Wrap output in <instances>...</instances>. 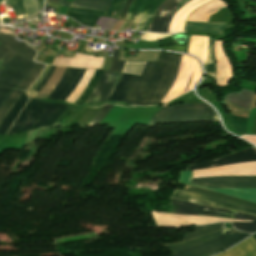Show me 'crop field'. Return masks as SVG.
<instances>
[{
  "label": "crop field",
  "instance_id": "crop-field-31",
  "mask_svg": "<svg viewBox=\"0 0 256 256\" xmlns=\"http://www.w3.org/2000/svg\"><path fill=\"white\" fill-rule=\"evenodd\" d=\"M119 50L113 51V60L109 70L121 72L125 62L117 61Z\"/></svg>",
  "mask_w": 256,
  "mask_h": 256
},
{
  "label": "crop field",
  "instance_id": "crop-field-29",
  "mask_svg": "<svg viewBox=\"0 0 256 256\" xmlns=\"http://www.w3.org/2000/svg\"><path fill=\"white\" fill-rule=\"evenodd\" d=\"M190 0H182L180 1L175 7H173L171 9V11L168 13L165 21H164V24H163V27H162V31L161 32H167L168 31V28H169V25H170V22H171V19H172V16L173 14L178 11L185 3L189 2ZM175 15V14H174Z\"/></svg>",
  "mask_w": 256,
  "mask_h": 256
},
{
  "label": "crop field",
  "instance_id": "crop-field-37",
  "mask_svg": "<svg viewBox=\"0 0 256 256\" xmlns=\"http://www.w3.org/2000/svg\"><path fill=\"white\" fill-rule=\"evenodd\" d=\"M55 66H51L50 70L48 71V73L46 74L45 78L40 82V84L36 87V91H39L40 88L45 84V82L47 81V79L50 77V75L52 74L53 70H54ZM49 80V79H48Z\"/></svg>",
  "mask_w": 256,
  "mask_h": 256
},
{
  "label": "crop field",
  "instance_id": "crop-field-10",
  "mask_svg": "<svg viewBox=\"0 0 256 256\" xmlns=\"http://www.w3.org/2000/svg\"><path fill=\"white\" fill-rule=\"evenodd\" d=\"M85 69L67 67L61 81L49 96L50 100H65L80 81Z\"/></svg>",
  "mask_w": 256,
  "mask_h": 256
},
{
  "label": "crop field",
  "instance_id": "crop-field-38",
  "mask_svg": "<svg viewBox=\"0 0 256 256\" xmlns=\"http://www.w3.org/2000/svg\"><path fill=\"white\" fill-rule=\"evenodd\" d=\"M69 9L76 10V11H82V12L93 13V14H98V15H103V16H105V14H106V12L95 11V10H87V9L72 8V7H69Z\"/></svg>",
  "mask_w": 256,
  "mask_h": 256
},
{
  "label": "crop field",
  "instance_id": "crop-field-30",
  "mask_svg": "<svg viewBox=\"0 0 256 256\" xmlns=\"http://www.w3.org/2000/svg\"><path fill=\"white\" fill-rule=\"evenodd\" d=\"M171 1H173V0H166L164 3H162V4L158 7V9L156 10V12H155V14H154V16H153V18H152V21H151L150 26H149V28H148L147 31L155 32L156 24H157V22H158V19H159V17H160L161 12L164 10V8H165Z\"/></svg>",
  "mask_w": 256,
  "mask_h": 256
},
{
  "label": "crop field",
  "instance_id": "crop-field-12",
  "mask_svg": "<svg viewBox=\"0 0 256 256\" xmlns=\"http://www.w3.org/2000/svg\"><path fill=\"white\" fill-rule=\"evenodd\" d=\"M45 65L36 63L30 74L27 76V78L13 91H11L8 99L5 101V103L0 108V123L4 116L7 114V112L10 110V108L13 106V104L16 102L18 97L26 91L32 83L37 79L40 72L44 68Z\"/></svg>",
  "mask_w": 256,
  "mask_h": 256
},
{
  "label": "crop field",
  "instance_id": "crop-field-13",
  "mask_svg": "<svg viewBox=\"0 0 256 256\" xmlns=\"http://www.w3.org/2000/svg\"><path fill=\"white\" fill-rule=\"evenodd\" d=\"M256 161V148L253 147L251 149L238 152L235 154H232L227 157H223L220 159L212 160L209 162L197 164L191 167H188L187 170H195V169H201V168H209V167H217V166H224L232 163H241V162H251Z\"/></svg>",
  "mask_w": 256,
  "mask_h": 256
},
{
  "label": "crop field",
  "instance_id": "crop-field-36",
  "mask_svg": "<svg viewBox=\"0 0 256 256\" xmlns=\"http://www.w3.org/2000/svg\"><path fill=\"white\" fill-rule=\"evenodd\" d=\"M73 109L67 108L65 112L57 119V121L53 125H61L64 120L73 112Z\"/></svg>",
  "mask_w": 256,
  "mask_h": 256
},
{
  "label": "crop field",
  "instance_id": "crop-field-9",
  "mask_svg": "<svg viewBox=\"0 0 256 256\" xmlns=\"http://www.w3.org/2000/svg\"><path fill=\"white\" fill-rule=\"evenodd\" d=\"M164 0H135L124 19L140 23L136 30H147L155 9Z\"/></svg>",
  "mask_w": 256,
  "mask_h": 256
},
{
  "label": "crop field",
  "instance_id": "crop-field-34",
  "mask_svg": "<svg viewBox=\"0 0 256 256\" xmlns=\"http://www.w3.org/2000/svg\"><path fill=\"white\" fill-rule=\"evenodd\" d=\"M112 106L110 105H105L104 108L99 112V114L91 121V123L89 125H93L96 124L98 122H100L104 116L107 114V112L110 110Z\"/></svg>",
  "mask_w": 256,
  "mask_h": 256
},
{
  "label": "crop field",
  "instance_id": "crop-field-14",
  "mask_svg": "<svg viewBox=\"0 0 256 256\" xmlns=\"http://www.w3.org/2000/svg\"><path fill=\"white\" fill-rule=\"evenodd\" d=\"M216 256H256V242L252 236L239 245Z\"/></svg>",
  "mask_w": 256,
  "mask_h": 256
},
{
  "label": "crop field",
  "instance_id": "crop-field-27",
  "mask_svg": "<svg viewBox=\"0 0 256 256\" xmlns=\"http://www.w3.org/2000/svg\"><path fill=\"white\" fill-rule=\"evenodd\" d=\"M146 62H126L122 72L140 75Z\"/></svg>",
  "mask_w": 256,
  "mask_h": 256
},
{
  "label": "crop field",
  "instance_id": "crop-field-5",
  "mask_svg": "<svg viewBox=\"0 0 256 256\" xmlns=\"http://www.w3.org/2000/svg\"><path fill=\"white\" fill-rule=\"evenodd\" d=\"M170 204L174 206L171 213L174 214H190V215H204L215 216L223 218H235L252 220V222H231L233 226L239 230L253 232L256 230V217L239 213L232 210H223L203 205L182 202L171 199Z\"/></svg>",
  "mask_w": 256,
  "mask_h": 256
},
{
  "label": "crop field",
  "instance_id": "crop-field-24",
  "mask_svg": "<svg viewBox=\"0 0 256 256\" xmlns=\"http://www.w3.org/2000/svg\"><path fill=\"white\" fill-rule=\"evenodd\" d=\"M223 223L213 224V225H203V226H196V231L189 233L184 236L182 241H185L187 239L206 234L212 231L220 230Z\"/></svg>",
  "mask_w": 256,
  "mask_h": 256
},
{
  "label": "crop field",
  "instance_id": "crop-field-11",
  "mask_svg": "<svg viewBox=\"0 0 256 256\" xmlns=\"http://www.w3.org/2000/svg\"><path fill=\"white\" fill-rule=\"evenodd\" d=\"M120 76V73L104 71V73L98 80L92 94L85 101V103H95L107 99V97L115 87L117 81L119 80Z\"/></svg>",
  "mask_w": 256,
  "mask_h": 256
},
{
  "label": "crop field",
  "instance_id": "crop-field-16",
  "mask_svg": "<svg viewBox=\"0 0 256 256\" xmlns=\"http://www.w3.org/2000/svg\"><path fill=\"white\" fill-rule=\"evenodd\" d=\"M226 23L186 22L184 31H203L221 34Z\"/></svg>",
  "mask_w": 256,
  "mask_h": 256
},
{
  "label": "crop field",
  "instance_id": "crop-field-43",
  "mask_svg": "<svg viewBox=\"0 0 256 256\" xmlns=\"http://www.w3.org/2000/svg\"><path fill=\"white\" fill-rule=\"evenodd\" d=\"M46 2H50L49 6L59 7L60 0H47Z\"/></svg>",
  "mask_w": 256,
  "mask_h": 256
},
{
  "label": "crop field",
  "instance_id": "crop-field-7",
  "mask_svg": "<svg viewBox=\"0 0 256 256\" xmlns=\"http://www.w3.org/2000/svg\"><path fill=\"white\" fill-rule=\"evenodd\" d=\"M247 235L248 233L225 229L222 235L196 246L174 252L173 256H200L202 254L218 251L234 244Z\"/></svg>",
  "mask_w": 256,
  "mask_h": 256
},
{
  "label": "crop field",
  "instance_id": "crop-field-3",
  "mask_svg": "<svg viewBox=\"0 0 256 256\" xmlns=\"http://www.w3.org/2000/svg\"><path fill=\"white\" fill-rule=\"evenodd\" d=\"M67 107L60 103L50 104L31 99L11 127L8 135L17 133L26 118L28 119L26 122L24 121L25 124L20 131L28 130L39 117L40 119L36 121L32 129L52 125Z\"/></svg>",
  "mask_w": 256,
  "mask_h": 256
},
{
  "label": "crop field",
  "instance_id": "crop-field-40",
  "mask_svg": "<svg viewBox=\"0 0 256 256\" xmlns=\"http://www.w3.org/2000/svg\"><path fill=\"white\" fill-rule=\"evenodd\" d=\"M117 2H118V0H113V2H112V4H111V6H110V8H109V10H108V12H107V14H106V16H108V17H111V16H112V13H113V11H114V9H115V7H116Z\"/></svg>",
  "mask_w": 256,
  "mask_h": 256
},
{
  "label": "crop field",
  "instance_id": "crop-field-19",
  "mask_svg": "<svg viewBox=\"0 0 256 256\" xmlns=\"http://www.w3.org/2000/svg\"><path fill=\"white\" fill-rule=\"evenodd\" d=\"M112 0H74L70 6L107 11Z\"/></svg>",
  "mask_w": 256,
  "mask_h": 256
},
{
  "label": "crop field",
  "instance_id": "crop-field-25",
  "mask_svg": "<svg viewBox=\"0 0 256 256\" xmlns=\"http://www.w3.org/2000/svg\"><path fill=\"white\" fill-rule=\"evenodd\" d=\"M205 73L209 74L215 78L214 73V57H213V40L209 39V47L207 52L206 64H205Z\"/></svg>",
  "mask_w": 256,
  "mask_h": 256
},
{
  "label": "crop field",
  "instance_id": "crop-field-45",
  "mask_svg": "<svg viewBox=\"0 0 256 256\" xmlns=\"http://www.w3.org/2000/svg\"><path fill=\"white\" fill-rule=\"evenodd\" d=\"M0 2H8L7 0H0ZM1 4V3H0Z\"/></svg>",
  "mask_w": 256,
  "mask_h": 256
},
{
  "label": "crop field",
  "instance_id": "crop-field-41",
  "mask_svg": "<svg viewBox=\"0 0 256 256\" xmlns=\"http://www.w3.org/2000/svg\"><path fill=\"white\" fill-rule=\"evenodd\" d=\"M125 1H126V0H119V2H118V4H117V7H116V9H115V11H117V13H116L115 16H112V17L117 18V16H118V14H119V12H120L122 6L124 5Z\"/></svg>",
  "mask_w": 256,
  "mask_h": 256
},
{
  "label": "crop field",
  "instance_id": "crop-field-23",
  "mask_svg": "<svg viewBox=\"0 0 256 256\" xmlns=\"http://www.w3.org/2000/svg\"><path fill=\"white\" fill-rule=\"evenodd\" d=\"M20 53L30 59H33L35 54H36V51L33 50L32 48L28 47V46H24V47H21V48H17V49H13V50H10L3 58L2 60L0 61V71L1 69L5 66V64L9 61V59L16 53Z\"/></svg>",
  "mask_w": 256,
  "mask_h": 256
},
{
  "label": "crop field",
  "instance_id": "crop-field-44",
  "mask_svg": "<svg viewBox=\"0 0 256 256\" xmlns=\"http://www.w3.org/2000/svg\"><path fill=\"white\" fill-rule=\"evenodd\" d=\"M69 3H70V2H67V1H65V0H62L60 6L67 7V5H68Z\"/></svg>",
  "mask_w": 256,
  "mask_h": 256
},
{
  "label": "crop field",
  "instance_id": "crop-field-1",
  "mask_svg": "<svg viewBox=\"0 0 256 256\" xmlns=\"http://www.w3.org/2000/svg\"><path fill=\"white\" fill-rule=\"evenodd\" d=\"M181 55L160 53L156 62H147L141 76L122 74L107 100L127 101L129 105L160 103L169 91Z\"/></svg>",
  "mask_w": 256,
  "mask_h": 256
},
{
  "label": "crop field",
  "instance_id": "crop-field-21",
  "mask_svg": "<svg viewBox=\"0 0 256 256\" xmlns=\"http://www.w3.org/2000/svg\"><path fill=\"white\" fill-rule=\"evenodd\" d=\"M221 234V230L220 231H216L213 233H210L208 235H205L203 237H199V238H195V239H191L182 243H178V244H172V245H167L166 247H168L172 252L186 248V247H190L193 246L195 244L201 243L203 241H206L208 239H211L217 235Z\"/></svg>",
  "mask_w": 256,
  "mask_h": 256
},
{
  "label": "crop field",
  "instance_id": "crop-field-4",
  "mask_svg": "<svg viewBox=\"0 0 256 256\" xmlns=\"http://www.w3.org/2000/svg\"><path fill=\"white\" fill-rule=\"evenodd\" d=\"M201 120H219L215 111L206 103L171 106L160 109L148 124L155 127L157 124L166 122H187Z\"/></svg>",
  "mask_w": 256,
  "mask_h": 256
},
{
  "label": "crop field",
  "instance_id": "crop-field-22",
  "mask_svg": "<svg viewBox=\"0 0 256 256\" xmlns=\"http://www.w3.org/2000/svg\"><path fill=\"white\" fill-rule=\"evenodd\" d=\"M66 16L74 18L75 20H77L79 23L83 25H88L92 27H94L95 23L99 18L98 15L81 13V12H73V11H68Z\"/></svg>",
  "mask_w": 256,
  "mask_h": 256
},
{
  "label": "crop field",
  "instance_id": "crop-field-8",
  "mask_svg": "<svg viewBox=\"0 0 256 256\" xmlns=\"http://www.w3.org/2000/svg\"><path fill=\"white\" fill-rule=\"evenodd\" d=\"M171 198L174 199H181V200H187L203 205H209L213 207H219V208H224V209H232L236 210L239 212L251 214L256 216V210L246 208L240 205H236L227 201H223L217 198L201 195V194H196L192 192H187L179 189H175L173 194L171 195Z\"/></svg>",
  "mask_w": 256,
  "mask_h": 256
},
{
  "label": "crop field",
  "instance_id": "crop-field-2",
  "mask_svg": "<svg viewBox=\"0 0 256 256\" xmlns=\"http://www.w3.org/2000/svg\"><path fill=\"white\" fill-rule=\"evenodd\" d=\"M191 180V171H183L180 173L179 182L189 184ZM191 183L199 185H219V186H255L256 176H214L193 178ZM192 185V184H190ZM198 186V185H194ZM219 186H198L248 201L256 203V188L255 187H219Z\"/></svg>",
  "mask_w": 256,
  "mask_h": 256
},
{
  "label": "crop field",
  "instance_id": "crop-field-20",
  "mask_svg": "<svg viewBox=\"0 0 256 256\" xmlns=\"http://www.w3.org/2000/svg\"><path fill=\"white\" fill-rule=\"evenodd\" d=\"M14 38L11 35L0 34V60L10 49L26 45L23 41L20 43Z\"/></svg>",
  "mask_w": 256,
  "mask_h": 256
},
{
  "label": "crop field",
  "instance_id": "crop-field-42",
  "mask_svg": "<svg viewBox=\"0 0 256 256\" xmlns=\"http://www.w3.org/2000/svg\"><path fill=\"white\" fill-rule=\"evenodd\" d=\"M16 3H17L18 9H19L21 15L26 14L25 10L23 8L22 0H16Z\"/></svg>",
  "mask_w": 256,
  "mask_h": 256
},
{
  "label": "crop field",
  "instance_id": "crop-field-17",
  "mask_svg": "<svg viewBox=\"0 0 256 256\" xmlns=\"http://www.w3.org/2000/svg\"><path fill=\"white\" fill-rule=\"evenodd\" d=\"M27 98L24 95V93L20 96V98L17 100L15 105L12 107V109L9 111V113L6 115V117L3 119L1 125H0V134H5L6 130L16 117V115L19 113L21 108L23 107L24 103L26 102Z\"/></svg>",
  "mask_w": 256,
  "mask_h": 256
},
{
  "label": "crop field",
  "instance_id": "crop-field-46",
  "mask_svg": "<svg viewBox=\"0 0 256 256\" xmlns=\"http://www.w3.org/2000/svg\"><path fill=\"white\" fill-rule=\"evenodd\" d=\"M254 237H255V240H256V234H255V236H254Z\"/></svg>",
  "mask_w": 256,
  "mask_h": 256
},
{
  "label": "crop field",
  "instance_id": "crop-field-28",
  "mask_svg": "<svg viewBox=\"0 0 256 256\" xmlns=\"http://www.w3.org/2000/svg\"><path fill=\"white\" fill-rule=\"evenodd\" d=\"M23 2L28 18L36 16L40 13L38 8V0H23Z\"/></svg>",
  "mask_w": 256,
  "mask_h": 256
},
{
  "label": "crop field",
  "instance_id": "crop-field-15",
  "mask_svg": "<svg viewBox=\"0 0 256 256\" xmlns=\"http://www.w3.org/2000/svg\"><path fill=\"white\" fill-rule=\"evenodd\" d=\"M184 190H188V191H193V192H197V193H201V194H205V195H209V196H213V197H217L223 200H227L233 203H237L243 206H247L250 208H254L256 209V204L252 203V202H248L245 200H241L235 197H231L225 194H221L218 192H214V191H210V190H206V189H202V188H198V187H192V186H186Z\"/></svg>",
  "mask_w": 256,
  "mask_h": 256
},
{
  "label": "crop field",
  "instance_id": "crop-field-18",
  "mask_svg": "<svg viewBox=\"0 0 256 256\" xmlns=\"http://www.w3.org/2000/svg\"><path fill=\"white\" fill-rule=\"evenodd\" d=\"M252 95V91L242 89L238 94L233 92L231 94L226 95L224 98L238 106L249 109Z\"/></svg>",
  "mask_w": 256,
  "mask_h": 256
},
{
  "label": "crop field",
  "instance_id": "crop-field-26",
  "mask_svg": "<svg viewBox=\"0 0 256 256\" xmlns=\"http://www.w3.org/2000/svg\"><path fill=\"white\" fill-rule=\"evenodd\" d=\"M101 73H102V70H96L90 83L88 84V86L86 87V89L84 90V92L82 93V95L79 97V99L76 101L75 104H82L86 100V98L90 95V93H91L95 83L97 82L98 78L100 77Z\"/></svg>",
  "mask_w": 256,
  "mask_h": 256
},
{
  "label": "crop field",
  "instance_id": "crop-field-33",
  "mask_svg": "<svg viewBox=\"0 0 256 256\" xmlns=\"http://www.w3.org/2000/svg\"><path fill=\"white\" fill-rule=\"evenodd\" d=\"M179 1H180V0H175V1L171 2V3L166 7V9L162 12L161 17H160L159 22H158V26H157L156 32H160V31H161L162 23H163V20H164L165 16H166L167 13L169 12V10H170L176 3H178Z\"/></svg>",
  "mask_w": 256,
  "mask_h": 256
},
{
  "label": "crop field",
  "instance_id": "crop-field-39",
  "mask_svg": "<svg viewBox=\"0 0 256 256\" xmlns=\"http://www.w3.org/2000/svg\"><path fill=\"white\" fill-rule=\"evenodd\" d=\"M132 1H133V0H127V2L125 3V5H124V7H123V9H122V11H121V13H120V15H119L118 18H121V19L124 18L125 14H126V12H127V10H128V7H129V5H130V3H131Z\"/></svg>",
  "mask_w": 256,
  "mask_h": 256
},
{
  "label": "crop field",
  "instance_id": "crop-field-6",
  "mask_svg": "<svg viewBox=\"0 0 256 256\" xmlns=\"http://www.w3.org/2000/svg\"><path fill=\"white\" fill-rule=\"evenodd\" d=\"M35 62L15 54L0 72V106L9 92L17 87L27 76Z\"/></svg>",
  "mask_w": 256,
  "mask_h": 256
},
{
  "label": "crop field",
  "instance_id": "crop-field-32",
  "mask_svg": "<svg viewBox=\"0 0 256 256\" xmlns=\"http://www.w3.org/2000/svg\"><path fill=\"white\" fill-rule=\"evenodd\" d=\"M233 119L234 126L238 132L245 134V126L247 119L230 115Z\"/></svg>",
  "mask_w": 256,
  "mask_h": 256
},
{
  "label": "crop field",
  "instance_id": "crop-field-35",
  "mask_svg": "<svg viewBox=\"0 0 256 256\" xmlns=\"http://www.w3.org/2000/svg\"><path fill=\"white\" fill-rule=\"evenodd\" d=\"M171 34H153V33H145L141 39L143 40H157L161 39L167 36H170Z\"/></svg>",
  "mask_w": 256,
  "mask_h": 256
}]
</instances>
